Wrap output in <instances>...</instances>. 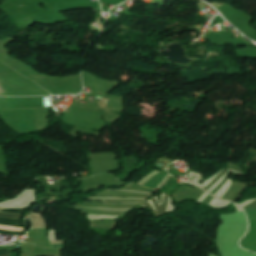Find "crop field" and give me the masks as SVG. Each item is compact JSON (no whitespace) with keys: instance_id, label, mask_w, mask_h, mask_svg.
<instances>
[{"instance_id":"crop-field-4","label":"crop field","mask_w":256,"mask_h":256,"mask_svg":"<svg viewBox=\"0 0 256 256\" xmlns=\"http://www.w3.org/2000/svg\"><path fill=\"white\" fill-rule=\"evenodd\" d=\"M24 232H13V231H6V230H0V234L4 235H22Z\"/></svg>"},{"instance_id":"crop-field-3","label":"crop field","mask_w":256,"mask_h":256,"mask_svg":"<svg viewBox=\"0 0 256 256\" xmlns=\"http://www.w3.org/2000/svg\"><path fill=\"white\" fill-rule=\"evenodd\" d=\"M0 211L12 212V213H24L25 209H2V208H0Z\"/></svg>"},{"instance_id":"crop-field-1","label":"crop field","mask_w":256,"mask_h":256,"mask_svg":"<svg viewBox=\"0 0 256 256\" xmlns=\"http://www.w3.org/2000/svg\"><path fill=\"white\" fill-rule=\"evenodd\" d=\"M0 224L13 225V226H21V221L13 220V219L0 218Z\"/></svg>"},{"instance_id":"crop-field-2","label":"crop field","mask_w":256,"mask_h":256,"mask_svg":"<svg viewBox=\"0 0 256 256\" xmlns=\"http://www.w3.org/2000/svg\"><path fill=\"white\" fill-rule=\"evenodd\" d=\"M23 214H12L0 212V217L21 219Z\"/></svg>"},{"instance_id":"crop-field-7","label":"crop field","mask_w":256,"mask_h":256,"mask_svg":"<svg viewBox=\"0 0 256 256\" xmlns=\"http://www.w3.org/2000/svg\"><path fill=\"white\" fill-rule=\"evenodd\" d=\"M3 256H9V254L8 255H3Z\"/></svg>"},{"instance_id":"crop-field-6","label":"crop field","mask_w":256,"mask_h":256,"mask_svg":"<svg viewBox=\"0 0 256 256\" xmlns=\"http://www.w3.org/2000/svg\"><path fill=\"white\" fill-rule=\"evenodd\" d=\"M62 243H64V240L52 242L50 244H51V246H54V245H58V244H62Z\"/></svg>"},{"instance_id":"crop-field-5","label":"crop field","mask_w":256,"mask_h":256,"mask_svg":"<svg viewBox=\"0 0 256 256\" xmlns=\"http://www.w3.org/2000/svg\"><path fill=\"white\" fill-rule=\"evenodd\" d=\"M20 248H21V247H20ZM17 249H19V248H17ZM17 249L10 250V251H8L7 249H0V255L7 254V253H10V252H13V251H15V250H17Z\"/></svg>"}]
</instances>
